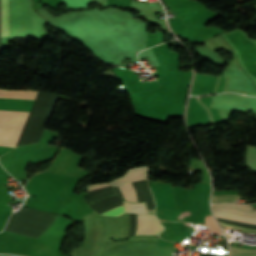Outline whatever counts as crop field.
I'll list each match as a JSON object with an SVG mask.
<instances>
[{"instance_id":"crop-field-1","label":"crop field","mask_w":256,"mask_h":256,"mask_svg":"<svg viewBox=\"0 0 256 256\" xmlns=\"http://www.w3.org/2000/svg\"><path fill=\"white\" fill-rule=\"evenodd\" d=\"M37 92L0 90V98L34 100ZM28 114L0 111V146L15 147Z\"/></svg>"},{"instance_id":"crop-field-2","label":"crop field","mask_w":256,"mask_h":256,"mask_svg":"<svg viewBox=\"0 0 256 256\" xmlns=\"http://www.w3.org/2000/svg\"><path fill=\"white\" fill-rule=\"evenodd\" d=\"M148 169H149V165L129 169L122 177H120L116 180H113L111 182H106V183H101V184L89 186L88 191L93 190V189H97V188L108 187L110 185H113V187H116V186H119V185L127 184L129 182H135V181L147 179ZM119 189H120V191H121V193H122V195H123V197L126 201L138 202L135 191H134L133 186H132L131 183L127 184V185L119 186ZM148 211H149V213L154 214L153 210L148 209Z\"/></svg>"},{"instance_id":"crop-field-3","label":"crop field","mask_w":256,"mask_h":256,"mask_svg":"<svg viewBox=\"0 0 256 256\" xmlns=\"http://www.w3.org/2000/svg\"><path fill=\"white\" fill-rule=\"evenodd\" d=\"M163 230L156 217L138 214V227L135 235H158Z\"/></svg>"},{"instance_id":"crop-field-4","label":"crop field","mask_w":256,"mask_h":256,"mask_svg":"<svg viewBox=\"0 0 256 256\" xmlns=\"http://www.w3.org/2000/svg\"><path fill=\"white\" fill-rule=\"evenodd\" d=\"M252 206H239V205H232V204H219L213 205V210L215 211H225L231 213H237L247 216L256 217V212H251Z\"/></svg>"},{"instance_id":"crop-field-5","label":"crop field","mask_w":256,"mask_h":256,"mask_svg":"<svg viewBox=\"0 0 256 256\" xmlns=\"http://www.w3.org/2000/svg\"><path fill=\"white\" fill-rule=\"evenodd\" d=\"M0 29L1 37L8 35V0H1Z\"/></svg>"},{"instance_id":"crop-field-6","label":"crop field","mask_w":256,"mask_h":256,"mask_svg":"<svg viewBox=\"0 0 256 256\" xmlns=\"http://www.w3.org/2000/svg\"><path fill=\"white\" fill-rule=\"evenodd\" d=\"M213 213H214L215 217H220V218L237 221V222L256 224V218L242 216V215L229 214V213H224V212L213 211Z\"/></svg>"},{"instance_id":"crop-field-7","label":"crop field","mask_w":256,"mask_h":256,"mask_svg":"<svg viewBox=\"0 0 256 256\" xmlns=\"http://www.w3.org/2000/svg\"><path fill=\"white\" fill-rule=\"evenodd\" d=\"M123 204L127 212L148 213L144 203L133 204L124 201Z\"/></svg>"},{"instance_id":"crop-field-8","label":"crop field","mask_w":256,"mask_h":256,"mask_svg":"<svg viewBox=\"0 0 256 256\" xmlns=\"http://www.w3.org/2000/svg\"><path fill=\"white\" fill-rule=\"evenodd\" d=\"M66 8L80 9L88 7L87 3L91 0H63Z\"/></svg>"},{"instance_id":"crop-field-9","label":"crop field","mask_w":256,"mask_h":256,"mask_svg":"<svg viewBox=\"0 0 256 256\" xmlns=\"http://www.w3.org/2000/svg\"><path fill=\"white\" fill-rule=\"evenodd\" d=\"M231 248V256H252L256 255V249Z\"/></svg>"},{"instance_id":"crop-field-10","label":"crop field","mask_w":256,"mask_h":256,"mask_svg":"<svg viewBox=\"0 0 256 256\" xmlns=\"http://www.w3.org/2000/svg\"><path fill=\"white\" fill-rule=\"evenodd\" d=\"M240 195H222V196H212V203L219 202H233L240 199Z\"/></svg>"},{"instance_id":"crop-field-11","label":"crop field","mask_w":256,"mask_h":256,"mask_svg":"<svg viewBox=\"0 0 256 256\" xmlns=\"http://www.w3.org/2000/svg\"><path fill=\"white\" fill-rule=\"evenodd\" d=\"M205 223L208 226V228L211 231V233H214V234H217V235L222 233L220 231V229L217 227V225L214 223V221L211 218V216H206Z\"/></svg>"},{"instance_id":"crop-field-12","label":"crop field","mask_w":256,"mask_h":256,"mask_svg":"<svg viewBox=\"0 0 256 256\" xmlns=\"http://www.w3.org/2000/svg\"><path fill=\"white\" fill-rule=\"evenodd\" d=\"M124 212H125L124 206L121 205L119 207H116L114 209L106 211V212L102 213L101 215L118 216V215H121Z\"/></svg>"},{"instance_id":"crop-field-13","label":"crop field","mask_w":256,"mask_h":256,"mask_svg":"<svg viewBox=\"0 0 256 256\" xmlns=\"http://www.w3.org/2000/svg\"><path fill=\"white\" fill-rule=\"evenodd\" d=\"M219 223V222H218ZM219 225L221 227L224 228H229V229H233V230H238V231H243V232H248V233H253L256 234V230L253 229H247V228H242V227H236V226H232V225H228V224H223V223H219Z\"/></svg>"},{"instance_id":"crop-field-14","label":"crop field","mask_w":256,"mask_h":256,"mask_svg":"<svg viewBox=\"0 0 256 256\" xmlns=\"http://www.w3.org/2000/svg\"><path fill=\"white\" fill-rule=\"evenodd\" d=\"M253 211H256V208H254Z\"/></svg>"}]
</instances>
